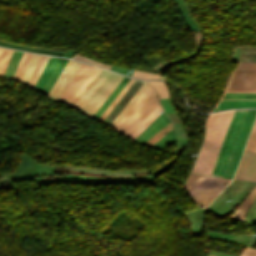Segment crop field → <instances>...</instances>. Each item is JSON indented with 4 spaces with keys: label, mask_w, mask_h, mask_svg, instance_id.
Wrapping results in <instances>:
<instances>
[{
    "label": "crop field",
    "mask_w": 256,
    "mask_h": 256,
    "mask_svg": "<svg viewBox=\"0 0 256 256\" xmlns=\"http://www.w3.org/2000/svg\"><path fill=\"white\" fill-rule=\"evenodd\" d=\"M234 110L210 114L206 136L191 172L210 175Z\"/></svg>",
    "instance_id": "1"
},
{
    "label": "crop field",
    "mask_w": 256,
    "mask_h": 256,
    "mask_svg": "<svg viewBox=\"0 0 256 256\" xmlns=\"http://www.w3.org/2000/svg\"><path fill=\"white\" fill-rule=\"evenodd\" d=\"M123 76L101 70L72 107L92 117Z\"/></svg>",
    "instance_id": "2"
},
{
    "label": "crop field",
    "mask_w": 256,
    "mask_h": 256,
    "mask_svg": "<svg viewBox=\"0 0 256 256\" xmlns=\"http://www.w3.org/2000/svg\"><path fill=\"white\" fill-rule=\"evenodd\" d=\"M160 107L157 94L149 85L115 128L130 136Z\"/></svg>",
    "instance_id": "3"
},
{
    "label": "crop field",
    "mask_w": 256,
    "mask_h": 256,
    "mask_svg": "<svg viewBox=\"0 0 256 256\" xmlns=\"http://www.w3.org/2000/svg\"><path fill=\"white\" fill-rule=\"evenodd\" d=\"M229 181L228 179L191 174L184 187L197 205L207 207Z\"/></svg>",
    "instance_id": "4"
},
{
    "label": "crop field",
    "mask_w": 256,
    "mask_h": 256,
    "mask_svg": "<svg viewBox=\"0 0 256 256\" xmlns=\"http://www.w3.org/2000/svg\"><path fill=\"white\" fill-rule=\"evenodd\" d=\"M247 110H235L212 175L222 176Z\"/></svg>",
    "instance_id": "5"
},
{
    "label": "crop field",
    "mask_w": 256,
    "mask_h": 256,
    "mask_svg": "<svg viewBox=\"0 0 256 256\" xmlns=\"http://www.w3.org/2000/svg\"><path fill=\"white\" fill-rule=\"evenodd\" d=\"M255 115L256 110L247 111V114L245 116L244 122L242 124L241 130L239 132L238 138L236 140L235 146L233 148L232 154L230 156L229 162L227 164L223 176L233 178Z\"/></svg>",
    "instance_id": "6"
},
{
    "label": "crop field",
    "mask_w": 256,
    "mask_h": 256,
    "mask_svg": "<svg viewBox=\"0 0 256 256\" xmlns=\"http://www.w3.org/2000/svg\"><path fill=\"white\" fill-rule=\"evenodd\" d=\"M225 91H256V72H233Z\"/></svg>",
    "instance_id": "7"
},
{
    "label": "crop field",
    "mask_w": 256,
    "mask_h": 256,
    "mask_svg": "<svg viewBox=\"0 0 256 256\" xmlns=\"http://www.w3.org/2000/svg\"><path fill=\"white\" fill-rule=\"evenodd\" d=\"M79 65L80 63L78 62L68 60L67 64L64 67L65 71L62 70L61 74L59 75L52 89L50 90L49 95L59 100L60 96L62 95L63 91L65 90L66 86L73 77Z\"/></svg>",
    "instance_id": "8"
},
{
    "label": "crop field",
    "mask_w": 256,
    "mask_h": 256,
    "mask_svg": "<svg viewBox=\"0 0 256 256\" xmlns=\"http://www.w3.org/2000/svg\"><path fill=\"white\" fill-rule=\"evenodd\" d=\"M256 177V154L245 151L235 178L254 181Z\"/></svg>",
    "instance_id": "9"
},
{
    "label": "crop field",
    "mask_w": 256,
    "mask_h": 256,
    "mask_svg": "<svg viewBox=\"0 0 256 256\" xmlns=\"http://www.w3.org/2000/svg\"><path fill=\"white\" fill-rule=\"evenodd\" d=\"M169 118L165 113L160 114L137 138L136 140L140 142L146 141L150 136L157 132L161 127H163ZM168 124V123H167ZM166 124V125H167Z\"/></svg>",
    "instance_id": "10"
},
{
    "label": "crop field",
    "mask_w": 256,
    "mask_h": 256,
    "mask_svg": "<svg viewBox=\"0 0 256 256\" xmlns=\"http://www.w3.org/2000/svg\"><path fill=\"white\" fill-rule=\"evenodd\" d=\"M241 57L256 58V48H243ZM241 58L235 71H256V59Z\"/></svg>",
    "instance_id": "11"
},
{
    "label": "crop field",
    "mask_w": 256,
    "mask_h": 256,
    "mask_svg": "<svg viewBox=\"0 0 256 256\" xmlns=\"http://www.w3.org/2000/svg\"><path fill=\"white\" fill-rule=\"evenodd\" d=\"M59 61H60V59H58V58L49 57L34 88L41 91V89L43 88L44 84L50 77L51 73L53 72V70L55 69V67L57 66Z\"/></svg>",
    "instance_id": "12"
},
{
    "label": "crop field",
    "mask_w": 256,
    "mask_h": 256,
    "mask_svg": "<svg viewBox=\"0 0 256 256\" xmlns=\"http://www.w3.org/2000/svg\"><path fill=\"white\" fill-rule=\"evenodd\" d=\"M232 107H256V100H220L214 111Z\"/></svg>",
    "instance_id": "13"
},
{
    "label": "crop field",
    "mask_w": 256,
    "mask_h": 256,
    "mask_svg": "<svg viewBox=\"0 0 256 256\" xmlns=\"http://www.w3.org/2000/svg\"><path fill=\"white\" fill-rule=\"evenodd\" d=\"M129 78L124 77L123 80L119 83V85L115 88V90L111 93V95L106 99V101L102 104V106L98 109V111L94 114L93 118L99 119L102 113L106 110V108L110 105L113 99L117 96V94L121 91L124 85L128 82Z\"/></svg>",
    "instance_id": "14"
},
{
    "label": "crop field",
    "mask_w": 256,
    "mask_h": 256,
    "mask_svg": "<svg viewBox=\"0 0 256 256\" xmlns=\"http://www.w3.org/2000/svg\"><path fill=\"white\" fill-rule=\"evenodd\" d=\"M256 197V187L255 189L249 194L247 199L240 205V207L235 211L231 218L243 220L251 203Z\"/></svg>",
    "instance_id": "15"
},
{
    "label": "crop field",
    "mask_w": 256,
    "mask_h": 256,
    "mask_svg": "<svg viewBox=\"0 0 256 256\" xmlns=\"http://www.w3.org/2000/svg\"><path fill=\"white\" fill-rule=\"evenodd\" d=\"M149 84L143 83V85L138 89V91L134 94V96L130 99V101L125 105V107L121 110V112L117 115V117L110 124L115 127L116 124L121 120V118L125 115V113L129 110V108L134 104V102L138 99V97L142 94V92L147 88Z\"/></svg>",
    "instance_id": "16"
},
{
    "label": "crop field",
    "mask_w": 256,
    "mask_h": 256,
    "mask_svg": "<svg viewBox=\"0 0 256 256\" xmlns=\"http://www.w3.org/2000/svg\"><path fill=\"white\" fill-rule=\"evenodd\" d=\"M67 60L61 59L58 66L52 73L51 77L45 84L44 88L42 89V92L48 94L49 90L51 89L52 85L54 84L55 80L57 79L58 75L60 74L61 70L63 69L64 65L66 64Z\"/></svg>",
    "instance_id": "17"
},
{
    "label": "crop field",
    "mask_w": 256,
    "mask_h": 256,
    "mask_svg": "<svg viewBox=\"0 0 256 256\" xmlns=\"http://www.w3.org/2000/svg\"><path fill=\"white\" fill-rule=\"evenodd\" d=\"M22 53L23 52L13 51L12 56L9 60V63L6 67V70L3 74L4 76L12 77Z\"/></svg>",
    "instance_id": "18"
},
{
    "label": "crop field",
    "mask_w": 256,
    "mask_h": 256,
    "mask_svg": "<svg viewBox=\"0 0 256 256\" xmlns=\"http://www.w3.org/2000/svg\"><path fill=\"white\" fill-rule=\"evenodd\" d=\"M100 69L94 67L89 76L86 78L82 86L79 88L77 93L74 95L72 100L69 102V105H73V103L77 100V98L82 94V92L86 89V87L90 84V82L95 78V76L99 73Z\"/></svg>",
    "instance_id": "19"
},
{
    "label": "crop field",
    "mask_w": 256,
    "mask_h": 256,
    "mask_svg": "<svg viewBox=\"0 0 256 256\" xmlns=\"http://www.w3.org/2000/svg\"><path fill=\"white\" fill-rule=\"evenodd\" d=\"M221 99H256V92H225Z\"/></svg>",
    "instance_id": "20"
},
{
    "label": "crop field",
    "mask_w": 256,
    "mask_h": 256,
    "mask_svg": "<svg viewBox=\"0 0 256 256\" xmlns=\"http://www.w3.org/2000/svg\"><path fill=\"white\" fill-rule=\"evenodd\" d=\"M31 55L32 54L26 53V52L23 53V55L20 59V62L18 64L17 68H16V71H15L13 77H12L13 79H16L18 81L20 80Z\"/></svg>",
    "instance_id": "21"
},
{
    "label": "crop field",
    "mask_w": 256,
    "mask_h": 256,
    "mask_svg": "<svg viewBox=\"0 0 256 256\" xmlns=\"http://www.w3.org/2000/svg\"><path fill=\"white\" fill-rule=\"evenodd\" d=\"M47 59H48L47 56H43V55L40 56V58L38 60V63L35 67V70H34L32 76H31V79H30L29 83H28L29 85L34 87V85H35V83H36V81H37V79H38L46 61H47Z\"/></svg>",
    "instance_id": "22"
},
{
    "label": "crop field",
    "mask_w": 256,
    "mask_h": 256,
    "mask_svg": "<svg viewBox=\"0 0 256 256\" xmlns=\"http://www.w3.org/2000/svg\"><path fill=\"white\" fill-rule=\"evenodd\" d=\"M39 56L40 55H36V54L32 55L28 65H27V68H26V70H25V72H24V74H23V76L20 80L21 82H24L26 84L28 83Z\"/></svg>",
    "instance_id": "23"
},
{
    "label": "crop field",
    "mask_w": 256,
    "mask_h": 256,
    "mask_svg": "<svg viewBox=\"0 0 256 256\" xmlns=\"http://www.w3.org/2000/svg\"><path fill=\"white\" fill-rule=\"evenodd\" d=\"M176 140L174 129L170 130L166 135H164L160 140H158L152 147L161 149L168 145L169 143Z\"/></svg>",
    "instance_id": "24"
},
{
    "label": "crop field",
    "mask_w": 256,
    "mask_h": 256,
    "mask_svg": "<svg viewBox=\"0 0 256 256\" xmlns=\"http://www.w3.org/2000/svg\"><path fill=\"white\" fill-rule=\"evenodd\" d=\"M149 83L155 86L160 98L170 97L167 82L152 81Z\"/></svg>",
    "instance_id": "25"
},
{
    "label": "crop field",
    "mask_w": 256,
    "mask_h": 256,
    "mask_svg": "<svg viewBox=\"0 0 256 256\" xmlns=\"http://www.w3.org/2000/svg\"><path fill=\"white\" fill-rule=\"evenodd\" d=\"M12 51L10 49L0 48V75L3 74Z\"/></svg>",
    "instance_id": "26"
},
{
    "label": "crop field",
    "mask_w": 256,
    "mask_h": 256,
    "mask_svg": "<svg viewBox=\"0 0 256 256\" xmlns=\"http://www.w3.org/2000/svg\"><path fill=\"white\" fill-rule=\"evenodd\" d=\"M132 77L140 78V79H155V78H163L162 75L146 72V71H140V70H133Z\"/></svg>",
    "instance_id": "27"
},
{
    "label": "crop field",
    "mask_w": 256,
    "mask_h": 256,
    "mask_svg": "<svg viewBox=\"0 0 256 256\" xmlns=\"http://www.w3.org/2000/svg\"><path fill=\"white\" fill-rule=\"evenodd\" d=\"M0 45L1 46H7V47H13V48H19V49H25V50H30V51H36V52L55 54V55H59V56L62 55L61 52H55V51H49V50H41V49H34V48H29V47L14 45V44H8V43H3V42H0Z\"/></svg>",
    "instance_id": "28"
},
{
    "label": "crop field",
    "mask_w": 256,
    "mask_h": 256,
    "mask_svg": "<svg viewBox=\"0 0 256 256\" xmlns=\"http://www.w3.org/2000/svg\"><path fill=\"white\" fill-rule=\"evenodd\" d=\"M133 79H130L126 86L122 89V91L118 94L115 100L111 103V105L107 108L104 114L100 117V121L107 115V113L112 109V107L116 104V102L120 99V97L124 94V92L129 88V86L133 83ZM126 93V92H125ZM122 98V97H121ZM109 114V113H108ZM105 119V118H104Z\"/></svg>",
    "instance_id": "29"
},
{
    "label": "crop field",
    "mask_w": 256,
    "mask_h": 256,
    "mask_svg": "<svg viewBox=\"0 0 256 256\" xmlns=\"http://www.w3.org/2000/svg\"><path fill=\"white\" fill-rule=\"evenodd\" d=\"M163 111L161 107L154 115H152L138 130H136L130 137L136 138L159 114Z\"/></svg>",
    "instance_id": "30"
},
{
    "label": "crop field",
    "mask_w": 256,
    "mask_h": 256,
    "mask_svg": "<svg viewBox=\"0 0 256 256\" xmlns=\"http://www.w3.org/2000/svg\"><path fill=\"white\" fill-rule=\"evenodd\" d=\"M245 149L256 152V122Z\"/></svg>",
    "instance_id": "31"
},
{
    "label": "crop field",
    "mask_w": 256,
    "mask_h": 256,
    "mask_svg": "<svg viewBox=\"0 0 256 256\" xmlns=\"http://www.w3.org/2000/svg\"><path fill=\"white\" fill-rule=\"evenodd\" d=\"M74 58H75V59H79V60L86 61V62H88V63L94 64V65H97V66H100V67H103V68H107V69H109V67H110V66H108V65H105V64H102V63H100V62H97V61H94V60H92V59H89V58H86V57H84V56H81V55H79V54H76Z\"/></svg>",
    "instance_id": "32"
},
{
    "label": "crop field",
    "mask_w": 256,
    "mask_h": 256,
    "mask_svg": "<svg viewBox=\"0 0 256 256\" xmlns=\"http://www.w3.org/2000/svg\"><path fill=\"white\" fill-rule=\"evenodd\" d=\"M240 256H256V249L247 246Z\"/></svg>",
    "instance_id": "33"
},
{
    "label": "crop field",
    "mask_w": 256,
    "mask_h": 256,
    "mask_svg": "<svg viewBox=\"0 0 256 256\" xmlns=\"http://www.w3.org/2000/svg\"><path fill=\"white\" fill-rule=\"evenodd\" d=\"M209 256H211V255H209Z\"/></svg>",
    "instance_id": "34"
},
{
    "label": "crop field",
    "mask_w": 256,
    "mask_h": 256,
    "mask_svg": "<svg viewBox=\"0 0 256 256\" xmlns=\"http://www.w3.org/2000/svg\"><path fill=\"white\" fill-rule=\"evenodd\" d=\"M256 181V180H255Z\"/></svg>",
    "instance_id": "35"
}]
</instances>
